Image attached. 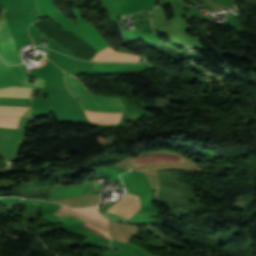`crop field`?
<instances>
[{
	"label": "crop field",
	"instance_id": "crop-field-8",
	"mask_svg": "<svg viewBox=\"0 0 256 256\" xmlns=\"http://www.w3.org/2000/svg\"><path fill=\"white\" fill-rule=\"evenodd\" d=\"M31 87L11 86L0 89V95L30 96Z\"/></svg>",
	"mask_w": 256,
	"mask_h": 256
},
{
	"label": "crop field",
	"instance_id": "crop-field-7",
	"mask_svg": "<svg viewBox=\"0 0 256 256\" xmlns=\"http://www.w3.org/2000/svg\"><path fill=\"white\" fill-rule=\"evenodd\" d=\"M91 123L99 125L120 124L124 113H98L85 111Z\"/></svg>",
	"mask_w": 256,
	"mask_h": 256
},
{
	"label": "crop field",
	"instance_id": "crop-field-11",
	"mask_svg": "<svg viewBox=\"0 0 256 256\" xmlns=\"http://www.w3.org/2000/svg\"><path fill=\"white\" fill-rule=\"evenodd\" d=\"M107 219H110V220H114V221H118V222H123L125 223L126 222V218H123V217H120V216H116V215H113V214H110V213H105L104 215Z\"/></svg>",
	"mask_w": 256,
	"mask_h": 256
},
{
	"label": "crop field",
	"instance_id": "crop-field-6",
	"mask_svg": "<svg viewBox=\"0 0 256 256\" xmlns=\"http://www.w3.org/2000/svg\"><path fill=\"white\" fill-rule=\"evenodd\" d=\"M132 196L133 194H130V193L125 194L117 203L111 206L107 210V212L113 213ZM139 208H140L139 197L134 195L122 207H120L116 212H114V214H117L129 219L134 213L138 211Z\"/></svg>",
	"mask_w": 256,
	"mask_h": 256
},
{
	"label": "crop field",
	"instance_id": "crop-field-10",
	"mask_svg": "<svg viewBox=\"0 0 256 256\" xmlns=\"http://www.w3.org/2000/svg\"><path fill=\"white\" fill-rule=\"evenodd\" d=\"M20 117H0V126H18Z\"/></svg>",
	"mask_w": 256,
	"mask_h": 256
},
{
	"label": "crop field",
	"instance_id": "crop-field-4",
	"mask_svg": "<svg viewBox=\"0 0 256 256\" xmlns=\"http://www.w3.org/2000/svg\"><path fill=\"white\" fill-rule=\"evenodd\" d=\"M27 74L22 65L7 66L0 58V87L11 85L35 86L44 88L42 79H38L34 84L28 83Z\"/></svg>",
	"mask_w": 256,
	"mask_h": 256
},
{
	"label": "crop field",
	"instance_id": "crop-field-9",
	"mask_svg": "<svg viewBox=\"0 0 256 256\" xmlns=\"http://www.w3.org/2000/svg\"><path fill=\"white\" fill-rule=\"evenodd\" d=\"M150 66L147 62L143 64H102L96 63L92 68L104 69V70H117L124 67H147Z\"/></svg>",
	"mask_w": 256,
	"mask_h": 256
},
{
	"label": "crop field",
	"instance_id": "crop-field-2",
	"mask_svg": "<svg viewBox=\"0 0 256 256\" xmlns=\"http://www.w3.org/2000/svg\"><path fill=\"white\" fill-rule=\"evenodd\" d=\"M65 84L74 97L82 103L95 107H124L119 98H110L91 94L80 82L70 75L65 78ZM82 103L80 104L87 110L102 112H127L125 108H95Z\"/></svg>",
	"mask_w": 256,
	"mask_h": 256
},
{
	"label": "crop field",
	"instance_id": "crop-field-3",
	"mask_svg": "<svg viewBox=\"0 0 256 256\" xmlns=\"http://www.w3.org/2000/svg\"><path fill=\"white\" fill-rule=\"evenodd\" d=\"M54 215L59 217H75L85 223L105 232H107L108 221L103 218V216L95 208H86V209H68L64 206H60L54 213ZM83 227L93 231L94 233L110 240L109 235L85 224ZM111 241V240H110Z\"/></svg>",
	"mask_w": 256,
	"mask_h": 256
},
{
	"label": "crop field",
	"instance_id": "crop-field-5",
	"mask_svg": "<svg viewBox=\"0 0 256 256\" xmlns=\"http://www.w3.org/2000/svg\"><path fill=\"white\" fill-rule=\"evenodd\" d=\"M6 18L0 20L3 21ZM0 56L6 63H21L7 21L0 23Z\"/></svg>",
	"mask_w": 256,
	"mask_h": 256
},
{
	"label": "crop field",
	"instance_id": "crop-field-12",
	"mask_svg": "<svg viewBox=\"0 0 256 256\" xmlns=\"http://www.w3.org/2000/svg\"><path fill=\"white\" fill-rule=\"evenodd\" d=\"M133 163H136V164H138V165H142V164H139V163H137V162H134V161H133Z\"/></svg>",
	"mask_w": 256,
	"mask_h": 256
},
{
	"label": "crop field",
	"instance_id": "crop-field-1",
	"mask_svg": "<svg viewBox=\"0 0 256 256\" xmlns=\"http://www.w3.org/2000/svg\"><path fill=\"white\" fill-rule=\"evenodd\" d=\"M37 4L40 18H53L63 27L74 24L54 6L52 0H37ZM77 20L78 24L65 27L64 29L80 37L98 52L109 47L94 27L84 21L81 17L77 18ZM138 59L139 56L137 55L115 52L109 47L99 52L92 60L138 62Z\"/></svg>",
	"mask_w": 256,
	"mask_h": 256
}]
</instances>
